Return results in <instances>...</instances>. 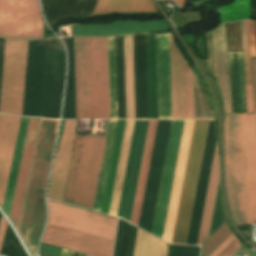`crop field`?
<instances>
[{
  "mask_svg": "<svg viewBox=\"0 0 256 256\" xmlns=\"http://www.w3.org/2000/svg\"><path fill=\"white\" fill-rule=\"evenodd\" d=\"M77 118H109L107 37L74 38Z\"/></svg>",
  "mask_w": 256,
  "mask_h": 256,
  "instance_id": "8a807250",
  "label": "crop field"
},
{
  "mask_svg": "<svg viewBox=\"0 0 256 256\" xmlns=\"http://www.w3.org/2000/svg\"><path fill=\"white\" fill-rule=\"evenodd\" d=\"M58 121L41 119L26 188L18 232L36 256L37 244L45 220L44 189L56 136Z\"/></svg>",
  "mask_w": 256,
  "mask_h": 256,
  "instance_id": "ac0d7876",
  "label": "crop field"
},
{
  "mask_svg": "<svg viewBox=\"0 0 256 256\" xmlns=\"http://www.w3.org/2000/svg\"><path fill=\"white\" fill-rule=\"evenodd\" d=\"M105 138L76 135L63 201L93 208Z\"/></svg>",
  "mask_w": 256,
  "mask_h": 256,
  "instance_id": "34b2d1b8",
  "label": "crop field"
},
{
  "mask_svg": "<svg viewBox=\"0 0 256 256\" xmlns=\"http://www.w3.org/2000/svg\"><path fill=\"white\" fill-rule=\"evenodd\" d=\"M209 120H195L172 243L185 244Z\"/></svg>",
  "mask_w": 256,
  "mask_h": 256,
  "instance_id": "412701ff",
  "label": "crop field"
},
{
  "mask_svg": "<svg viewBox=\"0 0 256 256\" xmlns=\"http://www.w3.org/2000/svg\"><path fill=\"white\" fill-rule=\"evenodd\" d=\"M225 175L236 224H246L238 114L225 115Z\"/></svg>",
  "mask_w": 256,
  "mask_h": 256,
  "instance_id": "f4fd0767",
  "label": "crop field"
},
{
  "mask_svg": "<svg viewBox=\"0 0 256 256\" xmlns=\"http://www.w3.org/2000/svg\"><path fill=\"white\" fill-rule=\"evenodd\" d=\"M28 40L6 39L0 113L21 115Z\"/></svg>",
  "mask_w": 256,
  "mask_h": 256,
  "instance_id": "dd49c442",
  "label": "crop field"
},
{
  "mask_svg": "<svg viewBox=\"0 0 256 256\" xmlns=\"http://www.w3.org/2000/svg\"><path fill=\"white\" fill-rule=\"evenodd\" d=\"M0 35L42 38L43 21L37 0H0Z\"/></svg>",
  "mask_w": 256,
  "mask_h": 256,
  "instance_id": "e52e79f7",
  "label": "crop field"
},
{
  "mask_svg": "<svg viewBox=\"0 0 256 256\" xmlns=\"http://www.w3.org/2000/svg\"><path fill=\"white\" fill-rule=\"evenodd\" d=\"M47 202L49 206V223L114 240L116 218L48 200Z\"/></svg>",
  "mask_w": 256,
  "mask_h": 256,
  "instance_id": "d8731c3e",
  "label": "crop field"
},
{
  "mask_svg": "<svg viewBox=\"0 0 256 256\" xmlns=\"http://www.w3.org/2000/svg\"><path fill=\"white\" fill-rule=\"evenodd\" d=\"M171 120H158L138 227L150 232Z\"/></svg>",
  "mask_w": 256,
  "mask_h": 256,
  "instance_id": "5a996713",
  "label": "crop field"
},
{
  "mask_svg": "<svg viewBox=\"0 0 256 256\" xmlns=\"http://www.w3.org/2000/svg\"><path fill=\"white\" fill-rule=\"evenodd\" d=\"M184 120H172L151 233L162 238Z\"/></svg>",
  "mask_w": 256,
  "mask_h": 256,
  "instance_id": "3316defc",
  "label": "crop field"
},
{
  "mask_svg": "<svg viewBox=\"0 0 256 256\" xmlns=\"http://www.w3.org/2000/svg\"><path fill=\"white\" fill-rule=\"evenodd\" d=\"M42 242L94 256H112L114 244L113 240L49 223Z\"/></svg>",
  "mask_w": 256,
  "mask_h": 256,
  "instance_id": "28ad6ade",
  "label": "crop field"
},
{
  "mask_svg": "<svg viewBox=\"0 0 256 256\" xmlns=\"http://www.w3.org/2000/svg\"><path fill=\"white\" fill-rule=\"evenodd\" d=\"M147 122L148 120H135L134 122V128L117 214L118 217H121L127 221L130 220Z\"/></svg>",
  "mask_w": 256,
  "mask_h": 256,
  "instance_id": "d1516ede",
  "label": "crop field"
},
{
  "mask_svg": "<svg viewBox=\"0 0 256 256\" xmlns=\"http://www.w3.org/2000/svg\"><path fill=\"white\" fill-rule=\"evenodd\" d=\"M77 120H65L61 140L54 159L47 198L61 201L63 199L70 155Z\"/></svg>",
  "mask_w": 256,
  "mask_h": 256,
  "instance_id": "22f410ed",
  "label": "crop field"
},
{
  "mask_svg": "<svg viewBox=\"0 0 256 256\" xmlns=\"http://www.w3.org/2000/svg\"><path fill=\"white\" fill-rule=\"evenodd\" d=\"M158 118H172L169 33L156 34Z\"/></svg>",
  "mask_w": 256,
  "mask_h": 256,
  "instance_id": "cbeb9de0",
  "label": "crop field"
},
{
  "mask_svg": "<svg viewBox=\"0 0 256 256\" xmlns=\"http://www.w3.org/2000/svg\"><path fill=\"white\" fill-rule=\"evenodd\" d=\"M73 36H109L135 34L145 32L166 31L169 29L166 21L138 22L132 20L118 21L109 24L71 25Z\"/></svg>",
  "mask_w": 256,
  "mask_h": 256,
  "instance_id": "5142ce71",
  "label": "crop field"
},
{
  "mask_svg": "<svg viewBox=\"0 0 256 256\" xmlns=\"http://www.w3.org/2000/svg\"><path fill=\"white\" fill-rule=\"evenodd\" d=\"M194 120H185L163 239L171 243Z\"/></svg>",
  "mask_w": 256,
  "mask_h": 256,
  "instance_id": "d9b57169",
  "label": "crop field"
},
{
  "mask_svg": "<svg viewBox=\"0 0 256 256\" xmlns=\"http://www.w3.org/2000/svg\"><path fill=\"white\" fill-rule=\"evenodd\" d=\"M21 117L0 115V208L2 207Z\"/></svg>",
  "mask_w": 256,
  "mask_h": 256,
  "instance_id": "733c2abd",
  "label": "crop field"
},
{
  "mask_svg": "<svg viewBox=\"0 0 256 256\" xmlns=\"http://www.w3.org/2000/svg\"><path fill=\"white\" fill-rule=\"evenodd\" d=\"M40 119L30 118L16 182L10 219L17 227Z\"/></svg>",
  "mask_w": 256,
  "mask_h": 256,
  "instance_id": "4a817a6b",
  "label": "crop field"
},
{
  "mask_svg": "<svg viewBox=\"0 0 256 256\" xmlns=\"http://www.w3.org/2000/svg\"><path fill=\"white\" fill-rule=\"evenodd\" d=\"M215 75L225 103V113H231L224 24L212 32Z\"/></svg>",
  "mask_w": 256,
  "mask_h": 256,
  "instance_id": "bc2a9ffb",
  "label": "crop field"
},
{
  "mask_svg": "<svg viewBox=\"0 0 256 256\" xmlns=\"http://www.w3.org/2000/svg\"><path fill=\"white\" fill-rule=\"evenodd\" d=\"M232 113L246 112L242 53H227Z\"/></svg>",
  "mask_w": 256,
  "mask_h": 256,
  "instance_id": "214f88e0",
  "label": "crop field"
},
{
  "mask_svg": "<svg viewBox=\"0 0 256 256\" xmlns=\"http://www.w3.org/2000/svg\"><path fill=\"white\" fill-rule=\"evenodd\" d=\"M157 120H149L130 222L137 225Z\"/></svg>",
  "mask_w": 256,
  "mask_h": 256,
  "instance_id": "92a150f3",
  "label": "crop field"
},
{
  "mask_svg": "<svg viewBox=\"0 0 256 256\" xmlns=\"http://www.w3.org/2000/svg\"><path fill=\"white\" fill-rule=\"evenodd\" d=\"M173 118H184L182 55L170 33Z\"/></svg>",
  "mask_w": 256,
  "mask_h": 256,
  "instance_id": "dafd665d",
  "label": "crop field"
},
{
  "mask_svg": "<svg viewBox=\"0 0 256 256\" xmlns=\"http://www.w3.org/2000/svg\"><path fill=\"white\" fill-rule=\"evenodd\" d=\"M126 120H117L100 212L108 214Z\"/></svg>",
  "mask_w": 256,
  "mask_h": 256,
  "instance_id": "00972430",
  "label": "crop field"
},
{
  "mask_svg": "<svg viewBox=\"0 0 256 256\" xmlns=\"http://www.w3.org/2000/svg\"><path fill=\"white\" fill-rule=\"evenodd\" d=\"M239 120H240L246 218H247V224H255L254 215H253V201H252V188H251V174H250L246 114H239Z\"/></svg>",
  "mask_w": 256,
  "mask_h": 256,
  "instance_id": "a9b5d70f",
  "label": "crop field"
},
{
  "mask_svg": "<svg viewBox=\"0 0 256 256\" xmlns=\"http://www.w3.org/2000/svg\"><path fill=\"white\" fill-rule=\"evenodd\" d=\"M219 175H220L219 156H218L217 143H216L197 245H201L202 242L206 238H208V235H209V229H210V223H211V218H212V212H213V206H214V201H215V195H216Z\"/></svg>",
  "mask_w": 256,
  "mask_h": 256,
  "instance_id": "4177f3b9",
  "label": "crop field"
},
{
  "mask_svg": "<svg viewBox=\"0 0 256 256\" xmlns=\"http://www.w3.org/2000/svg\"><path fill=\"white\" fill-rule=\"evenodd\" d=\"M154 12L151 0H99L95 14Z\"/></svg>",
  "mask_w": 256,
  "mask_h": 256,
  "instance_id": "730fd06b",
  "label": "crop field"
},
{
  "mask_svg": "<svg viewBox=\"0 0 256 256\" xmlns=\"http://www.w3.org/2000/svg\"><path fill=\"white\" fill-rule=\"evenodd\" d=\"M28 120H29V118L22 117L21 123H20L19 133H18V137H17V142H16L13 161H12V165H11L10 175H9L7 189H6L5 198H4V203H3V207H2V210L7 215V217H8L9 209H10V205H11V200H12V195H13V191H14L19 162H20V158H21L23 143H24L26 129H27V125H28Z\"/></svg>",
  "mask_w": 256,
  "mask_h": 256,
  "instance_id": "eef30255",
  "label": "crop field"
},
{
  "mask_svg": "<svg viewBox=\"0 0 256 256\" xmlns=\"http://www.w3.org/2000/svg\"><path fill=\"white\" fill-rule=\"evenodd\" d=\"M127 118H135L132 35L124 36Z\"/></svg>",
  "mask_w": 256,
  "mask_h": 256,
  "instance_id": "ae1a2a85",
  "label": "crop field"
},
{
  "mask_svg": "<svg viewBox=\"0 0 256 256\" xmlns=\"http://www.w3.org/2000/svg\"><path fill=\"white\" fill-rule=\"evenodd\" d=\"M118 118H126L123 36L115 37Z\"/></svg>",
  "mask_w": 256,
  "mask_h": 256,
  "instance_id": "d3111659",
  "label": "crop field"
},
{
  "mask_svg": "<svg viewBox=\"0 0 256 256\" xmlns=\"http://www.w3.org/2000/svg\"><path fill=\"white\" fill-rule=\"evenodd\" d=\"M150 118H157L155 34H147Z\"/></svg>",
  "mask_w": 256,
  "mask_h": 256,
  "instance_id": "750c4746",
  "label": "crop field"
},
{
  "mask_svg": "<svg viewBox=\"0 0 256 256\" xmlns=\"http://www.w3.org/2000/svg\"><path fill=\"white\" fill-rule=\"evenodd\" d=\"M251 0H233V3L220 8L221 22L249 19Z\"/></svg>",
  "mask_w": 256,
  "mask_h": 256,
  "instance_id": "bd1437ed",
  "label": "crop field"
},
{
  "mask_svg": "<svg viewBox=\"0 0 256 256\" xmlns=\"http://www.w3.org/2000/svg\"><path fill=\"white\" fill-rule=\"evenodd\" d=\"M110 118H117L114 37H108Z\"/></svg>",
  "mask_w": 256,
  "mask_h": 256,
  "instance_id": "1d83c4d3",
  "label": "crop field"
},
{
  "mask_svg": "<svg viewBox=\"0 0 256 256\" xmlns=\"http://www.w3.org/2000/svg\"><path fill=\"white\" fill-rule=\"evenodd\" d=\"M249 58L256 57V39L254 21H247ZM253 107L256 112V58L249 59Z\"/></svg>",
  "mask_w": 256,
  "mask_h": 256,
  "instance_id": "120bbe31",
  "label": "crop field"
},
{
  "mask_svg": "<svg viewBox=\"0 0 256 256\" xmlns=\"http://www.w3.org/2000/svg\"><path fill=\"white\" fill-rule=\"evenodd\" d=\"M115 122H116V120H110V122H109V128H108V133H107L108 138H107L106 149H105V154H104V159H103V165H102L99 186H98V191H97V196H96V202H95V207H94V211H98V212L100 210V204H101V199H102L106 171H107L109 155H110V150H111V144H112V139H113V133H114V128H115Z\"/></svg>",
  "mask_w": 256,
  "mask_h": 256,
  "instance_id": "d32e631a",
  "label": "crop field"
},
{
  "mask_svg": "<svg viewBox=\"0 0 256 256\" xmlns=\"http://www.w3.org/2000/svg\"><path fill=\"white\" fill-rule=\"evenodd\" d=\"M195 118H214L201 86L193 74Z\"/></svg>",
  "mask_w": 256,
  "mask_h": 256,
  "instance_id": "5866460e",
  "label": "crop field"
},
{
  "mask_svg": "<svg viewBox=\"0 0 256 256\" xmlns=\"http://www.w3.org/2000/svg\"><path fill=\"white\" fill-rule=\"evenodd\" d=\"M185 118H194L192 71L183 59Z\"/></svg>",
  "mask_w": 256,
  "mask_h": 256,
  "instance_id": "028f5c9d",
  "label": "crop field"
},
{
  "mask_svg": "<svg viewBox=\"0 0 256 256\" xmlns=\"http://www.w3.org/2000/svg\"><path fill=\"white\" fill-rule=\"evenodd\" d=\"M245 83H250L245 21H240ZM247 112H253L250 84H245Z\"/></svg>",
  "mask_w": 256,
  "mask_h": 256,
  "instance_id": "e1f06a70",
  "label": "crop field"
},
{
  "mask_svg": "<svg viewBox=\"0 0 256 256\" xmlns=\"http://www.w3.org/2000/svg\"><path fill=\"white\" fill-rule=\"evenodd\" d=\"M247 120H248L250 157H251V169H252V181H253V194H254V206H255V218H256V147H255L253 114H247Z\"/></svg>",
  "mask_w": 256,
  "mask_h": 256,
  "instance_id": "0bd39190",
  "label": "crop field"
},
{
  "mask_svg": "<svg viewBox=\"0 0 256 256\" xmlns=\"http://www.w3.org/2000/svg\"><path fill=\"white\" fill-rule=\"evenodd\" d=\"M232 233L226 223L214 233L203 245L202 256H209Z\"/></svg>",
  "mask_w": 256,
  "mask_h": 256,
  "instance_id": "b80d0937",
  "label": "crop field"
},
{
  "mask_svg": "<svg viewBox=\"0 0 256 256\" xmlns=\"http://www.w3.org/2000/svg\"><path fill=\"white\" fill-rule=\"evenodd\" d=\"M224 221H225V216L223 214L222 205H221L220 182H219L217 195H216V201H215V207H214V212H213V218H212V223H211L210 235L214 231H216L222 225V223Z\"/></svg>",
  "mask_w": 256,
  "mask_h": 256,
  "instance_id": "c035e120",
  "label": "crop field"
},
{
  "mask_svg": "<svg viewBox=\"0 0 256 256\" xmlns=\"http://www.w3.org/2000/svg\"><path fill=\"white\" fill-rule=\"evenodd\" d=\"M243 244L240 243L235 237L220 253L216 256H231L236 252Z\"/></svg>",
  "mask_w": 256,
  "mask_h": 256,
  "instance_id": "c21b1889",
  "label": "crop field"
},
{
  "mask_svg": "<svg viewBox=\"0 0 256 256\" xmlns=\"http://www.w3.org/2000/svg\"><path fill=\"white\" fill-rule=\"evenodd\" d=\"M136 232H137V229L130 226L125 256H133Z\"/></svg>",
  "mask_w": 256,
  "mask_h": 256,
  "instance_id": "03da06ac",
  "label": "crop field"
},
{
  "mask_svg": "<svg viewBox=\"0 0 256 256\" xmlns=\"http://www.w3.org/2000/svg\"><path fill=\"white\" fill-rule=\"evenodd\" d=\"M62 249L42 243L40 256H61Z\"/></svg>",
  "mask_w": 256,
  "mask_h": 256,
  "instance_id": "b54c1fbb",
  "label": "crop field"
},
{
  "mask_svg": "<svg viewBox=\"0 0 256 256\" xmlns=\"http://www.w3.org/2000/svg\"><path fill=\"white\" fill-rule=\"evenodd\" d=\"M7 225H8V223L3 218V216H1V220H0V249H1L2 242H3L4 236H5Z\"/></svg>",
  "mask_w": 256,
  "mask_h": 256,
  "instance_id": "5d738f31",
  "label": "crop field"
},
{
  "mask_svg": "<svg viewBox=\"0 0 256 256\" xmlns=\"http://www.w3.org/2000/svg\"><path fill=\"white\" fill-rule=\"evenodd\" d=\"M235 236L232 234L217 250H215L210 256H215L220 252Z\"/></svg>",
  "mask_w": 256,
  "mask_h": 256,
  "instance_id": "d23c7cc5",
  "label": "crop field"
},
{
  "mask_svg": "<svg viewBox=\"0 0 256 256\" xmlns=\"http://www.w3.org/2000/svg\"><path fill=\"white\" fill-rule=\"evenodd\" d=\"M251 240H252V233L251 230H242ZM253 241V240H252Z\"/></svg>",
  "mask_w": 256,
  "mask_h": 256,
  "instance_id": "425ffa30",
  "label": "crop field"
},
{
  "mask_svg": "<svg viewBox=\"0 0 256 256\" xmlns=\"http://www.w3.org/2000/svg\"><path fill=\"white\" fill-rule=\"evenodd\" d=\"M180 5V7H183L184 0H175Z\"/></svg>",
  "mask_w": 256,
  "mask_h": 256,
  "instance_id": "25e5ab78",
  "label": "crop field"
},
{
  "mask_svg": "<svg viewBox=\"0 0 256 256\" xmlns=\"http://www.w3.org/2000/svg\"><path fill=\"white\" fill-rule=\"evenodd\" d=\"M68 250L63 249L62 256H67Z\"/></svg>",
  "mask_w": 256,
  "mask_h": 256,
  "instance_id": "73cf0c24",
  "label": "crop field"
},
{
  "mask_svg": "<svg viewBox=\"0 0 256 256\" xmlns=\"http://www.w3.org/2000/svg\"><path fill=\"white\" fill-rule=\"evenodd\" d=\"M254 120H255V134H256V114H254Z\"/></svg>",
  "mask_w": 256,
  "mask_h": 256,
  "instance_id": "89e229c0",
  "label": "crop field"
},
{
  "mask_svg": "<svg viewBox=\"0 0 256 256\" xmlns=\"http://www.w3.org/2000/svg\"><path fill=\"white\" fill-rule=\"evenodd\" d=\"M0 216H1V214H0Z\"/></svg>",
  "mask_w": 256,
  "mask_h": 256,
  "instance_id": "1f2cbd36",
  "label": "crop field"
},
{
  "mask_svg": "<svg viewBox=\"0 0 256 256\" xmlns=\"http://www.w3.org/2000/svg\"><path fill=\"white\" fill-rule=\"evenodd\" d=\"M256 244V243H255Z\"/></svg>",
  "mask_w": 256,
  "mask_h": 256,
  "instance_id": "dbb93151",
  "label": "crop field"
},
{
  "mask_svg": "<svg viewBox=\"0 0 256 256\" xmlns=\"http://www.w3.org/2000/svg\"><path fill=\"white\" fill-rule=\"evenodd\" d=\"M87 256V255H86Z\"/></svg>",
  "mask_w": 256,
  "mask_h": 256,
  "instance_id": "0fb4a251",
  "label": "crop field"
}]
</instances>
